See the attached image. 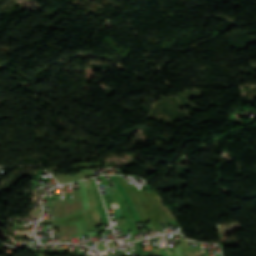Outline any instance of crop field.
Masks as SVG:
<instances>
[{"label":"crop field","instance_id":"1","mask_svg":"<svg viewBox=\"0 0 256 256\" xmlns=\"http://www.w3.org/2000/svg\"><path fill=\"white\" fill-rule=\"evenodd\" d=\"M58 201L59 196H56L54 219H58ZM80 213H83L80 192L76 190L73 191V200H65V204H60V219Z\"/></svg>","mask_w":256,"mask_h":256},{"label":"crop field","instance_id":"2","mask_svg":"<svg viewBox=\"0 0 256 256\" xmlns=\"http://www.w3.org/2000/svg\"><path fill=\"white\" fill-rule=\"evenodd\" d=\"M73 229V236L87 235L85 221L71 223Z\"/></svg>","mask_w":256,"mask_h":256},{"label":"crop field","instance_id":"3","mask_svg":"<svg viewBox=\"0 0 256 256\" xmlns=\"http://www.w3.org/2000/svg\"><path fill=\"white\" fill-rule=\"evenodd\" d=\"M60 234L62 242H70V226L69 223L60 225Z\"/></svg>","mask_w":256,"mask_h":256},{"label":"crop field","instance_id":"4","mask_svg":"<svg viewBox=\"0 0 256 256\" xmlns=\"http://www.w3.org/2000/svg\"><path fill=\"white\" fill-rule=\"evenodd\" d=\"M79 183H80V187H81L83 209L85 211L90 208L89 204H88V200H87L86 188H85L83 181H80Z\"/></svg>","mask_w":256,"mask_h":256}]
</instances>
